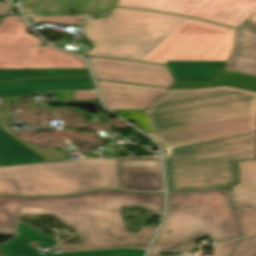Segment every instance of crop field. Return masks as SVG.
I'll return each mask as SVG.
<instances>
[{
	"label": "crop field",
	"mask_w": 256,
	"mask_h": 256,
	"mask_svg": "<svg viewBox=\"0 0 256 256\" xmlns=\"http://www.w3.org/2000/svg\"><path fill=\"white\" fill-rule=\"evenodd\" d=\"M106 23H103V21ZM235 29L180 16L117 8L88 20L87 55L166 64L169 60L228 61Z\"/></svg>",
	"instance_id": "obj_1"
},
{
	"label": "crop field",
	"mask_w": 256,
	"mask_h": 256,
	"mask_svg": "<svg viewBox=\"0 0 256 256\" xmlns=\"http://www.w3.org/2000/svg\"><path fill=\"white\" fill-rule=\"evenodd\" d=\"M138 205L163 213V194H142L113 190L95 191L73 197H0V234L14 235L29 245L53 246L58 242L19 221L29 207L53 214L80 235L81 244L58 246L62 251L110 247L147 248L157 227H144L139 234L127 233L122 207Z\"/></svg>",
	"instance_id": "obj_2"
},
{
	"label": "crop field",
	"mask_w": 256,
	"mask_h": 256,
	"mask_svg": "<svg viewBox=\"0 0 256 256\" xmlns=\"http://www.w3.org/2000/svg\"><path fill=\"white\" fill-rule=\"evenodd\" d=\"M146 133L256 114V92L227 86L169 89L145 111H113Z\"/></svg>",
	"instance_id": "obj_3"
},
{
	"label": "crop field",
	"mask_w": 256,
	"mask_h": 256,
	"mask_svg": "<svg viewBox=\"0 0 256 256\" xmlns=\"http://www.w3.org/2000/svg\"><path fill=\"white\" fill-rule=\"evenodd\" d=\"M228 196L229 189L169 194V213L148 256H161V251L191 254L195 242L206 236L218 242L240 237Z\"/></svg>",
	"instance_id": "obj_4"
},
{
	"label": "crop field",
	"mask_w": 256,
	"mask_h": 256,
	"mask_svg": "<svg viewBox=\"0 0 256 256\" xmlns=\"http://www.w3.org/2000/svg\"><path fill=\"white\" fill-rule=\"evenodd\" d=\"M255 147L256 132L166 148L169 192L233 185L238 180L236 162L255 158Z\"/></svg>",
	"instance_id": "obj_5"
},
{
	"label": "crop field",
	"mask_w": 256,
	"mask_h": 256,
	"mask_svg": "<svg viewBox=\"0 0 256 256\" xmlns=\"http://www.w3.org/2000/svg\"><path fill=\"white\" fill-rule=\"evenodd\" d=\"M100 187L119 188L116 159L0 168V194H67Z\"/></svg>",
	"instance_id": "obj_6"
},
{
	"label": "crop field",
	"mask_w": 256,
	"mask_h": 256,
	"mask_svg": "<svg viewBox=\"0 0 256 256\" xmlns=\"http://www.w3.org/2000/svg\"><path fill=\"white\" fill-rule=\"evenodd\" d=\"M95 89L91 77L30 79L0 83V98L21 97L53 90ZM0 106V166L68 159L66 153L28 143L11 133L5 122L10 118V104Z\"/></svg>",
	"instance_id": "obj_7"
},
{
	"label": "crop field",
	"mask_w": 256,
	"mask_h": 256,
	"mask_svg": "<svg viewBox=\"0 0 256 256\" xmlns=\"http://www.w3.org/2000/svg\"><path fill=\"white\" fill-rule=\"evenodd\" d=\"M23 18L7 16L0 23V68H87L83 60L55 48L40 46L42 40L28 32Z\"/></svg>",
	"instance_id": "obj_8"
},
{
	"label": "crop field",
	"mask_w": 256,
	"mask_h": 256,
	"mask_svg": "<svg viewBox=\"0 0 256 256\" xmlns=\"http://www.w3.org/2000/svg\"><path fill=\"white\" fill-rule=\"evenodd\" d=\"M116 6L172 12L235 28L256 12V0H119Z\"/></svg>",
	"instance_id": "obj_9"
},
{
	"label": "crop field",
	"mask_w": 256,
	"mask_h": 256,
	"mask_svg": "<svg viewBox=\"0 0 256 256\" xmlns=\"http://www.w3.org/2000/svg\"><path fill=\"white\" fill-rule=\"evenodd\" d=\"M90 61L99 79L168 88L175 83L166 66L103 58Z\"/></svg>",
	"instance_id": "obj_10"
},
{
	"label": "crop field",
	"mask_w": 256,
	"mask_h": 256,
	"mask_svg": "<svg viewBox=\"0 0 256 256\" xmlns=\"http://www.w3.org/2000/svg\"><path fill=\"white\" fill-rule=\"evenodd\" d=\"M256 131V115L150 133L165 146Z\"/></svg>",
	"instance_id": "obj_11"
},
{
	"label": "crop field",
	"mask_w": 256,
	"mask_h": 256,
	"mask_svg": "<svg viewBox=\"0 0 256 256\" xmlns=\"http://www.w3.org/2000/svg\"><path fill=\"white\" fill-rule=\"evenodd\" d=\"M239 166L241 183L232 188L231 203L245 237L256 234V160Z\"/></svg>",
	"instance_id": "obj_12"
},
{
	"label": "crop field",
	"mask_w": 256,
	"mask_h": 256,
	"mask_svg": "<svg viewBox=\"0 0 256 256\" xmlns=\"http://www.w3.org/2000/svg\"><path fill=\"white\" fill-rule=\"evenodd\" d=\"M120 188L140 191H162L160 158L117 159Z\"/></svg>",
	"instance_id": "obj_13"
},
{
	"label": "crop field",
	"mask_w": 256,
	"mask_h": 256,
	"mask_svg": "<svg viewBox=\"0 0 256 256\" xmlns=\"http://www.w3.org/2000/svg\"><path fill=\"white\" fill-rule=\"evenodd\" d=\"M109 110H145L166 89L98 81Z\"/></svg>",
	"instance_id": "obj_14"
},
{
	"label": "crop field",
	"mask_w": 256,
	"mask_h": 256,
	"mask_svg": "<svg viewBox=\"0 0 256 256\" xmlns=\"http://www.w3.org/2000/svg\"><path fill=\"white\" fill-rule=\"evenodd\" d=\"M226 69L256 76V23H247L237 30Z\"/></svg>",
	"instance_id": "obj_15"
},
{
	"label": "crop field",
	"mask_w": 256,
	"mask_h": 256,
	"mask_svg": "<svg viewBox=\"0 0 256 256\" xmlns=\"http://www.w3.org/2000/svg\"><path fill=\"white\" fill-rule=\"evenodd\" d=\"M117 0H26L22 8L26 14L32 16L61 14L69 6L74 10L83 12H107L113 8ZM35 2V4H31ZM30 5V8H26Z\"/></svg>",
	"instance_id": "obj_16"
},
{
	"label": "crop field",
	"mask_w": 256,
	"mask_h": 256,
	"mask_svg": "<svg viewBox=\"0 0 256 256\" xmlns=\"http://www.w3.org/2000/svg\"><path fill=\"white\" fill-rule=\"evenodd\" d=\"M227 62L169 61L168 66L177 82H212Z\"/></svg>",
	"instance_id": "obj_17"
},
{
	"label": "crop field",
	"mask_w": 256,
	"mask_h": 256,
	"mask_svg": "<svg viewBox=\"0 0 256 256\" xmlns=\"http://www.w3.org/2000/svg\"><path fill=\"white\" fill-rule=\"evenodd\" d=\"M2 252L10 256H42L39 251L21 240L8 242L0 245ZM146 250L139 249H116L103 251L64 253L55 256H144Z\"/></svg>",
	"instance_id": "obj_18"
},
{
	"label": "crop field",
	"mask_w": 256,
	"mask_h": 256,
	"mask_svg": "<svg viewBox=\"0 0 256 256\" xmlns=\"http://www.w3.org/2000/svg\"><path fill=\"white\" fill-rule=\"evenodd\" d=\"M213 83L227 84L240 88L256 90V77L224 70L212 83H175L171 88L207 87Z\"/></svg>",
	"instance_id": "obj_19"
},
{
	"label": "crop field",
	"mask_w": 256,
	"mask_h": 256,
	"mask_svg": "<svg viewBox=\"0 0 256 256\" xmlns=\"http://www.w3.org/2000/svg\"><path fill=\"white\" fill-rule=\"evenodd\" d=\"M90 75L87 69H59V70H2L0 81H9L21 78L51 77V76H78Z\"/></svg>",
	"instance_id": "obj_20"
},
{
	"label": "crop field",
	"mask_w": 256,
	"mask_h": 256,
	"mask_svg": "<svg viewBox=\"0 0 256 256\" xmlns=\"http://www.w3.org/2000/svg\"><path fill=\"white\" fill-rule=\"evenodd\" d=\"M229 256H256V236L243 239Z\"/></svg>",
	"instance_id": "obj_21"
},
{
	"label": "crop field",
	"mask_w": 256,
	"mask_h": 256,
	"mask_svg": "<svg viewBox=\"0 0 256 256\" xmlns=\"http://www.w3.org/2000/svg\"><path fill=\"white\" fill-rule=\"evenodd\" d=\"M73 18H85L82 16H76V17H67V16H54V17H41V18H35L34 21L36 22H47V23H58V24H66L71 25L74 23H81L83 24V21L73 20Z\"/></svg>",
	"instance_id": "obj_22"
},
{
	"label": "crop field",
	"mask_w": 256,
	"mask_h": 256,
	"mask_svg": "<svg viewBox=\"0 0 256 256\" xmlns=\"http://www.w3.org/2000/svg\"><path fill=\"white\" fill-rule=\"evenodd\" d=\"M69 100L98 99L96 91L65 92Z\"/></svg>",
	"instance_id": "obj_23"
},
{
	"label": "crop field",
	"mask_w": 256,
	"mask_h": 256,
	"mask_svg": "<svg viewBox=\"0 0 256 256\" xmlns=\"http://www.w3.org/2000/svg\"><path fill=\"white\" fill-rule=\"evenodd\" d=\"M240 240L214 246V256H227Z\"/></svg>",
	"instance_id": "obj_24"
},
{
	"label": "crop field",
	"mask_w": 256,
	"mask_h": 256,
	"mask_svg": "<svg viewBox=\"0 0 256 256\" xmlns=\"http://www.w3.org/2000/svg\"><path fill=\"white\" fill-rule=\"evenodd\" d=\"M40 214H43L42 211L40 209L35 208H29L28 212L26 213V215L28 216H35Z\"/></svg>",
	"instance_id": "obj_25"
},
{
	"label": "crop field",
	"mask_w": 256,
	"mask_h": 256,
	"mask_svg": "<svg viewBox=\"0 0 256 256\" xmlns=\"http://www.w3.org/2000/svg\"><path fill=\"white\" fill-rule=\"evenodd\" d=\"M12 6L0 4V15H5Z\"/></svg>",
	"instance_id": "obj_26"
},
{
	"label": "crop field",
	"mask_w": 256,
	"mask_h": 256,
	"mask_svg": "<svg viewBox=\"0 0 256 256\" xmlns=\"http://www.w3.org/2000/svg\"><path fill=\"white\" fill-rule=\"evenodd\" d=\"M246 22H256V13L250 17Z\"/></svg>",
	"instance_id": "obj_27"
},
{
	"label": "crop field",
	"mask_w": 256,
	"mask_h": 256,
	"mask_svg": "<svg viewBox=\"0 0 256 256\" xmlns=\"http://www.w3.org/2000/svg\"><path fill=\"white\" fill-rule=\"evenodd\" d=\"M5 99H0V105L2 104V102L4 101Z\"/></svg>",
	"instance_id": "obj_28"
},
{
	"label": "crop field",
	"mask_w": 256,
	"mask_h": 256,
	"mask_svg": "<svg viewBox=\"0 0 256 256\" xmlns=\"http://www.w3.org/2000/svg\"><path fill=\"white\" fill-rule=\"evenodd\" d=\"M18 238L14 239V240H17Z\"/></svg>",
	"instance_id": "obj_29"
}]
</instances>
